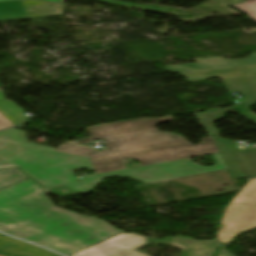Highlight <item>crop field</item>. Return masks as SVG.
Returning a JSON list of instances; mask_svg holds the SVG:
<instances>
[{
	"label": "crop field",
	"instance_id": "obj_12",
	"mask_svg": "<svg viewBox=\"0 0 256 256\" xmlns=\"http://www.w3.org/2000/svg\"><path fill=\"white\" fill-rule=\"evenodd\" d=\"M228 109L221 110L219 108L206 110L205 113H197L194 112V116L209 134V136L218 135L217 129L214 127L213 123L216 122L218 119L224 116Z\"/></svg>",
	"mask_w": 256,
	"mask_h": 256
},
{
	"label": "crop field",
	"instance_id": "obj_22",
	"mask_svg": "<svg viewBox=\"0 0 256 256\" xmlns=\"http://www.w3.org/2000/svg\"><path fill=\"white\" fill-rule=\"evenodd\" d=\"M0 100H5L1 89H0Z\"/></svg>",
	"mask_w": 256,
	"mask_h": 256
},
{
	"label": "crop field",
	"instance_id": "obj_18",
	"mask_svg": "<svg viewBox=\"0 0 256 256\" xmlns=\"http://www.w3.org/2000/svg\"><path fill=\"white\" fill-rule=\"evenodd\" d=\"M254 104H256V97L234 108L256 123V115L247 109Z\"/></svg>",
	"mask_w": 256,
	"mask_h": 256
},
{
	"label": "crop field",
	"instance_id": "obj_14",
	"mask_svg": "<svg viewBox=\"0 0 256 256\" xmlns=\"http://www.w3.org/2000/svg\"><path fill=\"white\" fill-rule=\"evenodd\" d=\"M176 244L188 250L187 256H214L218 247L210 244H193L177 240Z\"/></svg>",
	"mask_w": 256,
	"mask_h": 256
},
{
	"label": "crop field",
	"instance_id": "obj_4",
	"mask_svg": "<svg viewBox=\"0 0 256 256\" xmlns=\"http://www.w3.org/2000/svg\"><path fill=\"white\" fill-rule=\"evenodd\" d=\"M256 229V178L251 179L226 207L217 240L229 244L246 231Z\"/></svg>",
	"mask_w": 256,
	"mask_h": 256
},
{
	"label": "crop field",
	"instance_id": "obj_19",
	"mask_svg": "<svg viewBox=\"0 0 256 256\" xmlns=\"http://www.w3.org/2000/svg\"><path fill=\"white\" fill-rule=\"evenodd\" d=\"M10 126H14V124L0 112V129H4Z\"/></svg>",
	"mask_w": 256,
	"mask_h": 256
},
{
	"label": "crop field",
	"instance_id": "obj_8",
	"mask_svg": "<svg viewBox=\"0 0 256 256\" xmlns=\"http://www.w3.org/2000/svg\"><path fill=\"white\" fill-rule=\"evenodd\" d=\"M195 60L197 63L169 65V66H165V68L170 72H174V71H185V70H198V69L255 65L256 64V53L251 54L250 58L236 59V60L224 59V58H221L220 56L208 57V58H198Z\"/></svg>",
	"mask_w": 256,
	"mask_h": 256
},
{
	"label": "crop field",
	"instance_id": "obj_3",
	"mask_svg": "<svg viewBox=\"0 0 256 256\" xmlns=\"http://www.w3.org/2000/svg\"><path fill=\"white\" fill-rule=\"evenodd\" d=\"M172 119L173 115L88 127L91 137L80 139V144L102 139L108 150L95 153L93 148L66 142L54 151L89 157L97 173L125 168L126 157L143 166L219 152L212 137L201 138L202 143L193 145L180 135L155 128L157 123Z\"/></svg>",
	"mask_w": 256,
	"mask_h": 256
},
{
	"label": "crop field",
	"instance_id": "obj_6",
	"mask_svg": "<svg viewBox=\"0 0 256 256\" xmlns=\"http://www.w3.org/2000/svg\"><path fill=\"white\" fill-rule=\"evenodd\" d=\"M213 138L234 180L256 177V148L239 150L219 135Z\"/></svg>",
	"mask_w": 256,
	"mask_h": 256
},
{
	"label": "crop field",
	"instance_id": "obj_20",
	"mask_svg": "<svg viewBox=\"0 0 256 256\" xmlns=\"http://www.w3.org/2000/svg\"><path fill=\"white\" fill-rule=\"evenodd\" d=\"M179 240L187 241V242H194V243H210V244H213L212 242H209V241H198V240L185 238V237H180Z\"/></svg>",
	"mask_w": 256,
	"mask_h": 256
},
{
	"label": "crop field",
	"instance_id": "obj_16",
	"mask_svg": "<svg viewBox=\"0 0 256 256\" xmlns=\"http://www.w3.org/2000/svg\"><path fill=\"white\" fill-rule=\"evenodd\" d=\"M0 1H12V0H0ZM48 1H54V2H58V3H62V4H64V2H65V0H48ZM96 1H101V2H106V3H111V4H117V5L132 7V8H138V9H143V10H148V11H154V12H159V13H166V11H167L165 9L147 7V6L131 4V3L115 1V0H96Z\"/></svg>",
	"mask_w": 256,
	"mask_h": 256
},
{
	"label": "crop field",
	"instance_id": "obj_7",
	"mask_svg": "<svg viewBox=\"0 0 256 256\" xmlns=\"http://www.w3.org/2000/svg\"><path fill=\"white\" fill-rule=\"evenodd\" d=\"M64 6L42 0L0 2V20L62 15Z\"/></svg>",
	"mask_w": 256,
	"mask_h": 256
},
{
	"label": "crop field",
	"instance_id": "obj_2",
	"mask_svg": "<svg viewBox=\"0 0 256 256\" xmlns=\"http://www.w3.org/2000/svg\"><path fill=\"white\" fill-rule=\"evenodd\" d=\"M30 178L0 190V231L66 256L122 231L52 204Z\"/></svg>",
	"mask_w": 256,
	"mask_h": 256
},
{
	"label": "crop field",
	"instance_id": "obj_17",
	"mask_svg": "<svg viewBox=\"0 0 256 256\" xmlns=\"http://www.w3.org/2000/svg\"><path fill=\"white\" fill-rule=\"evenodd\" d=\"M232 7L246 13L249 18L256 21V3L250 4L249 0H247V2L232 5Z\"/></svg>",
	"mask_w": 256,
	"mask_h": 256
},
{
	"label": "crop field",
	"instance_id": "obj_10",
	"mask_svg": "<svg viewBox=\"0 0 256 256\" xmlns=\"http://www.w3.org/2000/svg\"><path fill=\"white\" fill-rule=\"evenodd\" d=\"M0 254L8 256H58L44 249L29 245L0 234Z\"/></svg>",
	"mask_w": 256,
	"mask_h": 256
},
{
	"label": "crop field",
	"instance_id": "obj_5",
	"mask_svg": "<svg viewBox=\"0 0 256 256\" xmlns=\"http://www.w3.org/2000/svg\"><path fill=\"white\" fill-rule=\"evenodd\" d=\"M177 238L179 237L152 239L137 234L121 233L70 256H147L136 250L150 243H175Z\"/></svg>",
	"mask_w": 256,
	"mask_h": 256
},
{
	"label": "crop field",
	"instance_id": "obj_23",
	"mask_svg": "<svg viewBox=\"0 0 256 256\" xmlns=\"http://www.w3.org/2000/svg\"><path fill=\"white\" fill-rule=\"evenodd\" d=\"M251 3L256 2V0H250Z\"/></svg>",
	"mask_w": 256,
	"mask_h": 256
},
{
	"label": "crop field",
	"instance_id": "obj_21",
	"mask_svg": "<svg viewBox=\"0 0 256 256\" xmlns=\"http://www.w3.org/2000/svg\"><path fill=\"white\" fill-rule=\"evenodd\" d=\"M216 256H230V255L227 254L225 251H223L222 249L219 248Z\"/></svg>",
	"mask_w": 256,
	"mask_h": 256
},
{
	"label": "crop field",
	"instance_id": "obj_1",
	"mask_svg": "<svg viewBox=\"0 0 256 256\" xmlns=\"http://www.w3.org/2000/svg\"><path fill=\"white\" fill-rule=\"evenodd\" d=\"M26 139V133L15 128L0 132V168L20 166V170L58 196L91 191L104 178L119 176L147 183L204 172L226 169L220 154L212 155L217 166L200 167L185 160L100 173L78 179L72 170L93 167L86 157L52 151L46 145Z\"/></svg>",
	"mask_w": 256,
	"mask_h": 256
},
{
	"label": "crop field",
	"instance_id": "obj_9",
	"mask_svg": "<svg viewBox=\"0 0 256 256\" xmlns=\"http://www.w3.org/2000/svg\"><path fill=\"white\" fill-rule=\"evenodd\" d=\"M180 74L181 76L187 78L190 82L205 80L209 78L228 79L239 77H251L256 76V65L222 69L186 71L180 72Z\"/></svg>",
	"mask_w": 256,
	"mask_h": 256
},
{
	"label": "crop field",
	"instance_id": "obj_15",
	"mask_svg": "<svg viewBox=\"0 0 256 256\" xmlns=\"http://www.w3.org/2000/svg\"><path fill=\"white\" fill-rule=\"evenodd\" d=\"M25 178L27 177L19 172L17 168L0 170V189H3Z\"/></svg>",
	"mask_w": 256,
	"mask_h": 256
},
{
	"label": "crop field",
	"instance_id": "obj_13",
	"mask_svg": "<svg viewBox=\"0 0 256 256\" xmlns=\"http://www.w3.org/2000/svg\"><path fill=\"white\" fill-rule=\"evenodd\" d=\"M0 111L15 125L26 123V116L24 115V111L10 100L0 101Z\"/></svg>",
	"mask_w": 256,
	"mask_h": 256
},
{
	"label": "crop field",
	"instance_id": "obj_11",
	"mask_svg": "<svg viewBox=\"0 0 256 256\" xmlns=\"http://www.w3.org/2000/svg\"><path fill=\"white\" fill-rule=\"evenodd\" d=\"M229 93L239 92L243 100L256 94V77L222 80Z\"/></svg>",
	"mask_w": 256,
	"mask_h": 256
}]
</instances>
